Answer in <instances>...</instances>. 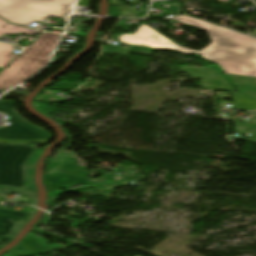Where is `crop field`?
<instances>
[{
    "label": "crop field",
    "mask_w": 256,
    "mask_h": 256,
    "mask_svg": "<svg viewBox=\"0 0 256 256\" xmlns=\"http://www.w3.org/2000/svg\"><path fill=\"white\" fill-rule=\"evenodd\" d=\"M172 19L207 31L212 42L198 52L177 45L144 24L134 34L120 36V40L156 49L198 54L216 62L225 73L256 77V39L189 16Z\"/></svg>",
    "instance_id": "crop-field-1"
},
{
    "label": "crop field",
    "mask_w": 256,
    "mask_h": 256,
    "mask_svg": "<svg viewBox=\"0 0 256 256\" xmlns=\"http://www.w3.org/2000/svg\"><path fill=\"white\" fill-rule=\"evenodd\" d=\"M60 36L44 32L12 64L0 73V89L20 83L39 72L48 61Z\"/></svg>",
    "instance_id": "crop-field-2"
},
{
    "label": "crop field",
    "mask_w": 256,
    "mask_h": 256,
    "mask_svg": "<svg viewBox=\"0 0 256 256\" xmlns=\"http://www.w3.org/2000/svg\"><path fill=\"white\" fill-rule=\"evenodd\" d=\"M74 0H0V16L8 21L30 26L49 16L67 18Z\"/></svg>",
    "instance_id": "crop-field-3"
},
{
    "label": "crop field",
    "mask_w": 256,
    "mask_h": 256,
    "mask_svg": "<svg viewBox=\"0 0 256 256\" xmlns=\"http://www.w3.org/2000/svg\"><path fill=\"white\" fill-rule=\"evenodd\" d=\"M0 113L8 114L11 125L0 128V142L9 143H40L51 138V134L24 119L13 108V101L0 100Z\"/></svg>",
    "instance_id": "crop-field-4"
},
{
    "label": "crop field",
    "mask_w": 256,
    "mask_h": 256,
    "mask_svg": "<svg viewBox=\"0 0 256 256\" xmlns=\"http://www.w3.org/2000/svg\"><path fill=\"white\" fill-rule=\"evenodd\" d=\"M62 158L64 162V164L61 166L63 172L46 175L43 177L49 197L58 196L63 192L56 189L74 187L81 183L97 184L98 187L106 191L124 186L123 184L85 181L88 177L86 168L78 167L75 158Z\"/></svg>",
    "instance_id": "crop-field-5"
},
{
    "label": "crop field",
    "mask_w": 256,
    "mask_h": 256,
    "mask_svg": "<svg viewBox=\"0 0 256 256\" xmlns=\"http://www.w3.org/2000/svg\"><path fill=\"white\" fill-rule=\"evenodd\" d=\"M34 148L0 144V185L24 187L22 167Z\"/></svg>",
    "instance_id": "crop-field-6"
},
{
    "label": "crop field",
    "mask_w": 256,
    "mask_h": 256,
    "mask_svg": "<svg viewBox=\"0 0 256 256\" xmlns=\"http://www.w3.org/2000/svg\"><path fill=\"white\" fill-rule=\"evenodd\" d=\"M178 71L189 73L193 79L201 80L202 88L232 90L231 86L214 70L208 67L181 66Z\"/></svg>",
    "instance_id": "crop-field-7"
},
{
    "label": "crop field",
    "mask_w": 256,
    "mask_h": 256,
    "mask_svg": "<svg viewBox=\"0 0 256 256\" xmlns=\"http://www.w3.org/2000/svg\"><path fill=\"white\" fill-rule=\"evenodd\" d=\"M64 247L66 246L61 243H58L52 246H47L42 241H40L37 236L28 234L16 247V249H20L25 252H17V253L11 254L10 256L46 254Z\"/></svg>",
    "instance_id": "crop-field-8"
},
{
    "label": "crop field",
    "mask_w": 256,
    "mask_h": 256,
    "mask_svg": "<svg viewBox=\"0 0 256 256\" xmlns=\"http://www.w3.org/2000/svg\"><path fill=\"white\" fill-rule=\"evenodd\" d=\"M0 25L5 26H0V36L3 33L17 34L19 32L37 35L39 32L38 30L11 25L1 18ZM13 49V46L0 43V67H5L11 60H13L17 56L16 54L11 53Z\"/></svg>",
    "instance_id": "crop-field-9"
},
{
    "label": "crop field",
    "mask_w": 256,
    "mask_h": 256,
    "mask_svg": "<svg viewBox=\"0 0 256 256\" xmlns=\"http://www.w3.org/2000/svg\"><path fill=\"white\" fill-rule=\"evenodd\" d=\"M31 215L32 213L29 212L0 209V235L7 236L10 228L14 224V222L7 220L8 218L16 222L24 223L30 218Z\"/></svg>",
    "instance_id": "crop-field-10"
},
{
    "label": "crop field",
    "mask_w": 256,
    "mask_h": 256,
    "mask_svg": "<svg viewBox=\"0 0 256 256\" xmlns=\"http://www.w3.org/2000/svg\"><path fill=\"white\" fill-rule=\"evenodd\" d=\"M236 108L239 110H255L256 94L231 92Z\"/></svg>",
    "instance_id": "crop-field-11"
},
{
    "label": "crop field",
    "mask_w": 256,
    "mask_h": 256,
    "mask_svg": "<svg viewBox=\"0 0 256 256\" xmlns=\"http://www.w3.org/2000/svg\"><path fill=\"white\" fill-rule=\"evenodd\" d=\"M104 53L117 54L127 56L130 52L151 55L152 50L145 47L129 46L128 48H121L109 45H102Z\"/></svg>",
    "instance_id": "crop-field-12"
},
{
    "label": "crop field",
    "mask_w": 256,
    "mask_h": 256,
    "mask_svg": "<svg viewBox=\"0 0 256 256\" xmlns=\"http://www.w3.org/2000/svg\"><path fill=\"white\" fill-rule=\"evenodd\" d=\"M234 83L241 91L256 93V80L250 77L231 75Z\"/></svg>",
    "instance_id": "crop-field-13"
},
{
    "label": "crop field",
    "mask_w": 256,
    "mask_h": 256,
    "mask_svg": "<svg viewBox=\"0 0 256 256\" xmlns=\"http://www.w3.org/2000/svg\"><path fill=\"white\" fill-rule=\"evenodd\" d=\"M234 131L251 134L249 138L252 139L247 142L256 143V124L235 122Z\"/></svg>",
    "instance_id": "crop-field-14"
},
{
    "label": "crop field",
    "mask_w": 256,
    "mask_h": 256,
    "mask_svg": "<svg viewBox=\"0 0 256 256\" xmlns=\"http://www.w3.org/2000/svg\"><path fill=\"white\" fill-rule=\"evenodd\" d=\"M88 1L89 0H79L77 5H81V6H88Z\"/></svg>",
    "instance_id": "crop-field-15"
},
{
    "label": "crop field",
    "mask_w": 256,
    "mask_h": 256,
    "mask_svg": "<svg viewBox=\"0 0 256 256\" xmlns=\"http://www.w3.org/2000/svg\"><path fill=\"white\" fill-rule=\"evenodd\" d=\"M7 237L0 236V243H2Z\"/></svg>",
    "instance_id": "crop-field-16"
},
{
    "label": "crop field",
    "mask_w": 256,
    "mask_h": 256,
    "mask_svg": "<svg viewBox=\"0 0 256 256\" xmlns=\"http://www.w3.org/2000/svg\"><path fill=\"white\" fill-rule=\"evenodd\" d=\"M1 200L5 201L4 198H3V196H0V201H1Z\"/></svg>",
    "instance_id": "crop-field-17"
},
{
    "label": "crop field",
    "mask_w": 256,
    "mask_h": 256,
    "mask_svg": "<svg viewBox=\"0 0 256 256\" xmlns=\"http://www.w3.org/2000/svg\"><path fill=\"white\" fill-rule=\"evenodd\" d=\"M2 71V69H0V72Z\"/></svg>",
    "instance_id": "crop-field-18"
}]
</instances>
